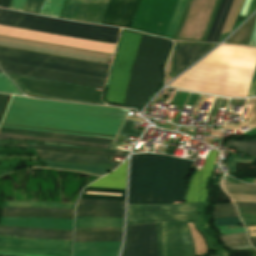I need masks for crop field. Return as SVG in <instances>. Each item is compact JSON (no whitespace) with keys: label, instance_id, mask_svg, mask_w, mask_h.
<instances>
[{"label":"crop field","instance_id":"12","mask_svg":"<svg viewBox=\"0 0 256 256\" xmlns=\"http://www.w3.org/2000/svg\"><path fill=\"white\" fill-rule=\"evenodd\" d=\"M121 256H157L155 223L127 225Z\"/></svg>","mask_w":256,"mask_h":256},{"label":"crop field","instance_id":"45","mask_svg":"<svg viewBox=\"0 0 256 256\" xmlns=\"http://www.w3.org/2000/svg\"><path fill=\"white\" fill-rule=\"evenodd\" d=\"M3 211H18V212H54L73 214L74 210L67 209H44V208H4Z\"/></svg>","mask_w":256,"mask_h":256},{"label":"crop field","instance_id":"26","mask_svg":"<svg viewBox=\"0 0 256 256\" xmlns=\"http://www.w3.org/2000/svg\"><path fill=\"white\" fill-rule=\"evenodd\" d=\"M199 204H200V213H199V221H198L199 227L208 238L212 249L222 253L224 256H229L228 252L219 246L215 238V233L209 228L208 219H207V208H208L207 200L202 201Z\"/></svg>","mask_w":256,"mask_h":256},{"label":"crop field","instance_id":"70","mask_svg":"<svg viewBox=\"0 0 256 256\" xmlns=\"http://www.w3.org/2000/svg\"><path fill=\"white\" fill-rule=\"evenodd\" d=\"M0 142H3V143H14L15 141H0Z\"/></svg>","mask_w":256,"mask_h":256},{"label":"crop field","instance_id":"25","mask_svg":"<svg viewBox=\"0 0 256 256\" xmlns=\"http://www.w3.org/2000/svg\"><path fill=\"white\" fill-rule=\"evenodd\" d=\"M157 0H141L133 24L132 30L145 32Z\"/></svg>","mask_w":256,"mask_h":256},{"label":"crop field","instance_id":"9","mask_svg":"<svg viewBox=\"0 0 256 256\" xmlns=\"http://www.w3.org/2000/svg\"><path fill=\"white\" fill-rule=\"evenodd\" d=\"M0 46L46 53L51 55L99 62L108 63L109 55L105 53L87 51L82 49L58 46L53 44L23 40L18 38L0 36Z\"/></svg>","mask_w":256,"mask_h":256},{"label":"crop field","instance_id":"56","mask_svg":"<svg viewBox=\"0 0 256 256\" xmlns=\"http://www.w3.org/2000/svg\"><path fill=\"white\" fill-rule=\"evenodd\" d=\"M188 94L189 93L177 92L171 104L183 106Z\"/></svg>","mask_w":256,"mask_h":256},{"label":"crop field","instance_id":"69","mask_svg":"<svg viewBox=\"0 0 256 256\" xmlns=\"http://www.w3.org/2000/svg\"><path fill=\"white\" fill-rule=\"evenodd\" d=\"M256 220H252V221H244V223H255Z\"/></svg>","mask_w":256,"mask_h":256},{"label":"crop field","instance_id":"42","mask_svg":"<svg viewBox=\"0 0 256 256\" xmlns=\"http://www.w3.org/2000/svg\"><path fill=\"white\" fill-rule=\"evenodd\" d=\"M0 146L37 147V148L55 149V150H63V151H71V152H79V153H88V154H96V155H105V156H116V157H126L127 156V155H122V154H110V153L80 151V150H71V149H63V148H55V147H47V146H37V145L0 144Z\"/></svg>","mask_w":256,"mask_h":256},{"label":"crop field","instance_id":"64","mask_svg":"<svg viewBox=\"0 0 256 256\" xmlns=\"http://www.w3.org/2000/svg\"><path fill=\"white\" fill-rule=\"evenodd\" d=\"M0 253H1V254H5V255L40 256V255L22 254V253H5V252H0Z\"/></svg>","mask_w":256,"mask_h":256},{"label":"crop field","instance_id":"68","mask_svg":"<svg viewBox=\"0 0 256 256\" xmlns=\"http://www.w3.org/2000/svg\"><path fill=\"white\" fill-rule=\"evenodd\" d=\"M250 239V242L251 244L256 247V237H253V238H249Z\"/></svg>","mask_w":256,"mask_h":256},{"label":"crop field","instance_id":"55","mask_svg":"<svg viewBox=\"0 0 256 256\" xmlns=\"http://www.w3.org/2000/svg\"><path fill=\"white\" fill-rule=\"evenodd\" d=\"M162 231H163V243H164V256H170L169 255L167 222L162 223Z\"/></svg>","mask_w":256,"mask_h":256},{"label":"crop field","instance_id":"28","mask_svg":"<svg viewBox=\"0 0 256 256\" xmlns=\"http://www.w3.org/2000/svg\"><path fill=\"white\" fill-rule=\"evenodd\" d=\"M124 209L112 207L77 206L75 216L123 217Z\"/></svg>","mask_w":256,"mask_h":256},{"label":"crop field","instance_id":"57","mask_svg":"<svg viewBox=\"0 0 256 256\" xmlns=\"http://www.w3.org/2000/svg\"><path fill=\"white\" fill-rule=\"evenodd\" d=\"M225 102L226 101H224V100L215 99L209 116L215 117L216 113H217V110L218 109H222L224 104H225Z\"/></svg>","mask_w":256,"mask_h":256},{"label":"crop field","instance_id":"59","mask_svg":"<svg viewBox=\"0 0 256 256\" xmlns=\"http://www.w3.org/2000/svg\"><path fill=\"white\" fill-rule=\"evenodd\" d=\"M256 96V68L250 85V89L247 97Z\"/></svg>","mask_w":256,"mask_h":256},{"label":"crop field","instance_id":"50","mask_svg":"<svg viewBox=\"0 0 256 256\" xmlns=\"http://www.w3.org/2000/svg\"><path fill=\"white\" fill-rule=\"evenodd\" d=\"M43 0H26L22 11L39 13Z\"/></svg>","mask_w":256,"mask_h":256},{"label":"crop field","instance_id":"8","mask_svg":"<svg viewBox=\"0 0 256 256\" xmlns=\"http://www.w3.org/2000/svg\"><path fill=\"white\" fill-rule=\"evenodd\" d=\"M7 74V73H6ZM26 93L51 99L102 103L100 91L93 88L7 74Z\"/></svg>","mask_w":256,"mask_h":256},{"label":"crop field","instance_id":"16","mask_svg":"<svg viewBox=\"0 0 256 256\" xmlns=\"http://www.w3.org/2000/svg\"><path fill=\"white\" fill-rule=\"evenodd\" d=\"M36 151L39 154V157L43 159L67 163L94 165L97 167L106 168L110 170H113L120 164V162L108 161L107 157L71 154L39 149H36Z\"/></svg>","mask_w":256,"mask_h":256},{"label":"crop field","instance_id":"18","mask_svg":"<svg viewBox=\"0 0 256 256\" xmlns=\"http://www.w3.org/2000/svg\"><path fill=\"white\" fill-rule=\"evenodd\" d=\"M0 224L73 230V220L70 219L1 217Z\"/></svg>","mask_w":256,"mask_h":256},{"label":"crop field","instance_id":"72","mask_svg":"<svg viewBox=\"0 0 256 256\" xmlns=\"http://www.w3.org/2000/svg\"><path fill=\"white\" fill-rule=\"evenodd\" d=\"M217 256H219V255H217Z\"/></svg>","mask_w":256,"mask_h":256},{"label":"crop field","instance_id":"11","mask_svg":"<svg viewBox=\"0 0 256 256\" xmlns=\"http://www.w3.org/2000/svg\"><path fill=\"white\" fill-rule=\"evenodd\" d=\"M0 67L3 69L4 72H8V73H14V74H20V75H26V76H32V77H38V78H44V79H50V80H57V81H63V82H69V83H75V84H81V85H87V86H93V87H99V88L103 87L104 82L106 80L104 78H98V77L14 64V63L2 62V61H0Z\"/></svg>","mask_w":256,"mask_h":256},{"label":"crop field","instance_id":"41","mask_svg":"<svg viewBox=\"0 0 256 256\" xmlns=\"http://www.w3.org/2000/svg\"><path fill=\"white\" fill-rule=\"evenodd\" d=\"M238 216L233 203L216 204L214 218Z\"/></svg>","mask_w":256,"mask_h":256},{"label":"crop field","instance_id":"37","mask_svg":"<svg viewBox=\"0 0 256 256\" xmlns=\"http://www.w3.org/2000/svg\"><path fill=\"white\" fill-rule=\"evenodd\" d=\"M3 200L14 201L10 173L0 177V210Z\"/></svg>","mask_w":256,"mask_h":256},{"label":"crop field","instance_id":"38","mask_svg":"<svg viewBox=\"0 0 256 256\" xmlns=\"http://www.w3.org/2000/svg\"><path fill=\"white\" fill-rule=\"evenodd\" d=\"M39 161L44 162L47 165L53 166V167L81 170V171L89 172V173L96 174V175H105L108 173V171H110V170H105V169L95 168V167H88V166H80V165H72V164H55V163L42 161V160H39Z\"/></svg>","mask_w":256,"mask_h":256},{"label":"crop field","instance_id":"22","mask_svg":"<svg viewBox=\"0 0 256 256\" xmlns=\"http://www.w3.org/2000/svg\"><path fill=\"white\" fill-rule=\"evenodd\" d=\"M0 132L13 133V134H24V135H34V136H44V137L65 138V139H75V140H84V141H93V142H100V143H106V144H111L113 142V140H110V139H101V138H92V137H84V136H75V135L30 131V130L4 128V127H0Z\"/></svg>","mask_w":256,"mask_h":256},{"label":"crop field","instance_id":"2","mask_svg":"<svg viewBox=\"0 0 256 256\" xmlns=\"http://www.w3.org/2000/svg\"><path fill=\"white\" fill-rule=\"evenodd\" d=\"M128 110L13 96L2 123L117 135Z\"/></svg>","mask_w":256,"mask_h":256},{"label":"crop field","instance_id":"3","mask_svg":"<svg viewBox=\"0 0 256 256\" xmlns=\"http://www.w3.org/2000/svg\"><path fill=\"white\" fill-rule=\"evenodd\" d=\"M191 160L160 154L132 155L128 203L171 204L183 201Z\"/></svg>","mask_w":256,"mask_h":256},{"label":"crop field","instance_id":"7","mask_svg":"<svg viewBox=\"0 0 256 256\" xmlns=\"http://www.w3.org/2000/svg\"><path fill=\"white\" fill-rule=\"evenodd\" d=\"M0 60L104 78H106L108 69V65L38 54L4 47H0Z\"/></svg>","mask_w":256,"mask_h":256},{"label":"crop field","instance_id":"24","mask_svg":"<svg viewBox=\"0 0 256 256\" xmlns=\"http://www.w3.org/2000/svg\"><path fill=\"white\" fill-rule=\"evenodd\" d=\"M233 0H221L205 42L216 43Z\"/></svg>","mask_w":256,"mask_h":256},{"label":"crop field","instance_id":"19","mask_svg":"<svg viewBox=\"0 0 256 256\" xmlns=\"http://www.w3.org/2000/svg\"><path fill=\"white\" fill-rule=\"evenodd\" d=\"M121 242H74L73 256H116Z\"/></svg>","mask_w":256,"mask_h":256},{"label":"crop field","instance_id":"67","mask_svg":"<svg viewBox=\"0 0 256 256\" xmlns=\"http://www.w3.org/2000/svg\"><path fill=\"white\" fill-rule=\"evenodd\" d=\"M241 180L247 183H256V179H241Z\"/></svg>","mask_w":256,"mask_h":256},{"label":"crop field","instance_id":"43","mask_svg":"<svg viewBox=\"0 0 256 256\" xmlns=\"http://www.w3.org/2000/svg\"><path fill=\"white\" fill-rule=\"evenodd\" d=\"M1 216H27V217H58L73 219V215L54 214V213H17V212H3Z\"/></svg>","mask_w":256,"mask_h":256},{"label":"crop field","instance_id":"47","mask_svg":"<svg viewBox=\"0 0 256 256\" xmlns=\"http://www.w3.org/2000/svg\"><path fill=\"white\" fill-rule=\"evenodd\" d=\"M77 205H100V206L123 207L124 202L79 199Z\"/></svg>","mask_w":256,"mask_h":256},{"label":"crop field","instance_id":"30","mask_svg":"<svg viewBox=\"0 0 256 256\" xmlns=\"http://www.w3.org/2000/svg\"><path fill=\"white\" fill-rule=\"evenodd\" d=\"M4 139H37V140H46L58 143H67V144H76V145H84L90 147L97 148H108L109 145L106 144H98V143H90V142H82V141H74V140H65V139H55V138H44V137H34V136H24V135H13V134H3L0 133V140Z\"/></svg>","mask_w":256,"mask_h":256},{"label":"crop field","instance_id":"44","mask_svg":"<svg viewBox=\"0 0 256 256\" xmlns=\"http://www.w3.org/2000/svg\"><path fill=\"white\" fill-rule=\"evenodd\" d=\"M228 145L235 147L247 154L256 156V141H248V142L229 141Z\"/></svg>","mask_w":256,"mask_h":256},{"label":"crop field","instance_id":"10","mask_svg":"<svg viewBox=\"0 0 256 256\" xmlns=\"http://www.w3.org/2000/svg\"><path fill=\"white\" fill-rule=\"evenodd\" d=\"M0 35L108 52L113 54L115 46L114 44L90 41L85 39L55 35L50 33L26 30L21 28L9 27L0 25Z\"/></svg>","mask_w":256,"mask_h":256},{"label":"crop field","instance_id":"5","mask_svg":"<svg viewBox=\"0 0 256 256\" xmlns=\"http://www.w3.org/2000/svg\"><path fill=\"white\" fill-rule=\"evenodd\" d=\"M0 24L116 44L120 28L96 26L0 9Z\"/></svg>","mask_w":256,"mask_h":256},{"label":"crop field","instance_id":"15","mask_svg":"<svg viewBox=\"0 0 256 256\" xmlns=\"http://www.w3.org/2000/svg\"><path fill=\"white\" fill-rule=\"evenodd\" d=\"M139 0H109L100 24L128 28Z\"/></svg>","mask_w":256,"mask_h":256},{"label":"crop field","instance_id":"4","mask_svg":"<svg viewBox=\"0 0 256 256\" xmlns=\"http://www.w3.org/2000/svg\"><path fill=\"white\" fill-rule=\"evenodd\" d=\"M196 203L177 205H128L127 224L156 222L158 256H163L161 221H168L171 256H195L186 222L196 223Z\"/></svg>","mask_w":256,"mask_h":256},{"label":"crop field","instance_id":"1","mask_svg":"<svg viewBox=\"0 0 256 256\" xmlns=\"http://www.w3.org/2000/svg\"><path fill=\"white\" fill-rule=\"evenodd\" d=\"M142 36L124 30L107 87L106 102L125 104L126 90ZM154 37L143 36L127 90L128 106L143 105L162 80L161 69L173 43L164 38Z\"/></svg>","mask_w":256,"mask_h":256},{"label":"crop field","instance_id":"14","mask_svg":"<svg viewBox=\"0 0 256 256\" xmlns=\"http://www.w3.org/2000/svg\"><path fill=\"white\" fill-rule=\"evenodd\" d=\"M62 203L75 204L81 189L96 176L57 170Z\"/></svg>","mask_w":256,"mask_h":256},{"label":"crop field","instance_id":"61","mask_svg":"<svg viewBox=\"0 0 256 256\" xmlns=\"http://www.w3.org/2000/svg\"><path fill=\"white\" fill-rule=\"evenodd\" d=\"M5 126H15V127H24V128H34V129H44V130H53V131H63V132H72V133H82V134H92V135H101V136H111V137H115L112 135H102V134H93V133H83V132H73V131H64V130H54V129H45V128H35V127H25V126H16V125H6V124H2Z\"/></svg>","mask_w":256,"mask_h":256},{"label":"crop field","instance_id":"32","mask_svg":"<svg viewBox=\"0 0 256 256\" xmlns=\"http://www.w3.org/2000/svg\"><path fill=\"white\" fill-rule=\"evenodd\" d=\"M219 238L223 245L228 247L230 250L251 247L247 242L245 233L224 235Z\"/></svg>","mask_w":256,"mask_h":256},{"label":"crop field","instance_id":"62","mask_svg":"<svg viewBox=\"0 0 256 256\" xmlns=\"http://www.w3.org/2000/svg\"><path fill=\"white\" fill-rule=\"evenodd\" d=\"M106 230H122V228H75V231H106Z\"/></svg>","mask_w":256,"mask_h":256},{"label":"crop field","instance_id":"36","mask_svg":"<svg viewBox=\"0 0 256 256\" xmlns=\"http://www.w3.org/2000/svg\"><path fill=\"white\" fill-rule=\"evenodd\" d=\"M86 191H99V192H109V193H122V197L84 194ZM124 196H125V190L98 189V188H89V187H86V188L82 191L80 198L124 201Z\"/></svg>","mask_w":256,"mask_h":256},{"label":"crop field","instance_id":"23","mask_svg":"<svg viewBox=\"0 0 256 256\" xmlns=\"http://www.w3.org/2000/svg\"><path fill=\"white\" fill-rule=\"evenodd\" d=\"M233 201L256 202V185L222 184Z\"/></svg>","mask_w":256,"mask_h":256},{"label":"crop field","instance_id":"58","mask_svg":"<svg viewBox=\"0 0 256 256\" xmlns=\"http://www.w3.org/2000/svg\"><path fill=\"white\" fill-rule=\"evenodd\" d=\"M10 95L7 94H1L0 93V119L2 117L3 111L5 109V106L7 104L8 98Z\"/></svg>","mask_w":256,"mask_h":256},{"label":"crop field","instance_id":"35","mask_svg":"<svg viewBox=\"0 0 256 256\" xmlns=\"http://www.w3.org/2000/svg\"><path fill=\"white\" fill-rule=\"evenodd\" d=\"M4 207H44V208H68L74 209L75 205L39 203V202H4Z\"/></svg>","mask_w":256,"mask_h":256},{"label":"crop field","instance_id":"40","mask_svg":"<svg viewBox=\"0 0 256 256\" xmlns=\"http://www.w3.org/2000/svg\"><path fill=\"white\" fill-rule=\"evenodd\" d=\"M186 0H178V3L176 5V8L174 10L173 16L171 18V21L169 23V26L167 28L165 38L172 39L174 31L176 29L177 23L179 21V18L181 16L182 10L184 8Z\"/></svg>","mask_w":256,"mask_h":256},{"label":"crop field","instance_id":"21","mask_svg":"<svg viewBox=\"0 0 256 256\" xmlns=\"http://www.w3.org/2000/svg\"><path fill=\"white\" fill-rule=\"evenodd\" d=\"M0 244L16 247H44L71 250L72 241L34 240L0 236Z\"/></svg>","mask_w":256,"mask_h":256},{"label":"crop field","instance_id":"51","mask_svg":"<svg viewBox=\"0 0 256 256\" xmlns=\"http://www.w3.org/2000/svg\"><path fill=\"white\" fill-rule=\"evenodd\" d=\"M256 10V0H245L239 15L248 17Z\"/></svg>","mask_w":256,"mask_h":256},{"label":"crop field","instance_id":"52","mask_svg":"<svg viewBox=\"0 0 256 256\" xmlns=\"http://www.w3.org/2000/svg\"><path fill=\"white\" fill-rule=\"evenodd\" d=\"M49 145L71 147V148H77V149H82V150L110 152V153H122V154H127L128 153V152H124V151H115V150H104V149H96V148L77 147V146L57 144V143H50V142H49Z\"/></svg>","mask_w":256,"mask_h":256},{"label":"crop field","instance_id":"33","mask_svg":"<svg viewBox=\"0 0 256 256\" xmlns=\"http://www.w3.org/2000/svg\"><path fill=\"white\" fill-rule=\"evenodd\" d=\"M0 251L34 253V254L51 255V256H71V251H61V250H43V249L0 247Z\"/></svg>","mask_w":256,"mask_h":256},{"label":"crop field","instance_id":"53","mask_svg":"<svg viewBox=\"0 0 256 256\" xmlns=\"http://www.w3.org/2000/svg\"><path fill=\"white\" fill-rule=\"evenodd\" d=\"M241 219H256V209L237 208Z\"/></svg>","mask_w":256,"mask_h":256},{"label":"crop field","instance_id":"49","mask_svg":"<svg viewBox=\"0 0 256 256\" xmlns=\"http://www.w3.org/2000/svg\"><path fill=\"white\" fill-rule=\"evenodd\" d=\"M0 91L20 94L3 73H0Z\"/></svg>","mask_w":256,"mask_h":256},{"label":"crop field","instance_id":"20","mask_svg":"<svg viewBox=\"0 0 256 256\" xmlns=\"http://www.w3.org/2000/svg\"><path fill=\"white\" fill-rule=\"evenodd\" d=\"M0 234L72 240L73 231L0 226Z\"/></svg>","mask_w":256,"mask_h":256},{"label":"crop field","instance_id":"66","mask_svg":"<svg viewBox=\"0 0 256 256\" xmlns=\"http://www.w3.org/2000/svg\"><path fill=\"white\" fill-rule=\"evenodd\" d=\"M244 102H245V99H241V100L231 99L229 103H232V104H244Z\"/></svg>","mask_w":256,"mask_h":256},{"label":"crop field","instance_id":"65","mask_svg":"<svg viewBox=\"0 0 256 256\" xmlns=\"http://www.w3.org/2000/svg\"><path fill=\"white\" fill-rule=\"evenodd\" d=\"M10 0H0V7L7 8L9 5Z\"/></svg>","mask_w":256,"mask_h":256},{"label":"crop field","instance_id":"17","mask_svg":"<svg viewBox=\"0 0 256 256\" xmlns=\"http://www.w3.org/2000/svg\"><path fill=\"white\" fill-rule=\"evenodd\" d=\"M213 46L215 45L203 43L176 44L171 77H175L178 73L209 51Z\"/></svg>","mask_w":256,"mask_h":256},{"label":"crop field","instance_id":"34","mask_svg":"<svg viewBox=\"0 0 256 256\" xmlns=\"http://www.w3.org/2000/svg\"><path fill=\"white\" fill-rule=\"evenodd\" d=\"M241 3H242V0H234L233 1L218 42L230 33Z\"/></svg>","mask_w":256,"mask_h":256},{"label":"crop field","instance_id":"71","mask_svg":"<svg viewBox=\"0 0 256 256\" xmlns=\"http://www.w3.org/2000/svg\"><path fill=\"white\" fill-rule=\"evenodd\" d=\"M246 230H247L248 236L250 237L249 230H248V228H247V227H246Z\"/></svg>","mask_w":256,"mask_h":256},{"label":"crop field","instance_id":"39","mask_svg":"<svg viewBox=\"0 0 256 256\" xmlns=\"http://www.w3.org/2000/svg\"><path fill=\"white\" fill-rule=\"evenodd\" d=\"M47 2L48 0H44V3L42 5V8L39 14L41 15L43 14V11L46 7ZM64 2L65 1H61V0H49L43 15L53 16L58 18Z\"/></svg>","mask_w":256,"mask_h":256},{"label":"crop field","instance_id":"27","mask_svg":"<svg viewBox=\"0 0 256 256\" xmlns=\"http://www.w3.org/2000/svg\"><path fill=\"white\" fill-rule=\"evenodd\" d=\"M123 218L75 217V227H122Z\"/></svg>","mask_w":256,"mask_h":256},{"label":"crop field","instance_id":"54","mask_svg":"<svg viewBox=\"0 0 256 256\" xmlns=\"http://www.w3.org/2000/svg\"><path fill=\"white\" fill-rule=\"evenodd\" d=\"M239 223H241V221L239 220L238 217L214 219L215 226L239 224Z\"/></svg>","mask_w":256,"mask_h":256},{"label":"crop field","instance_id":"31","mask_svg":"<svg viewBox=\"0 0 256 256\" xmlns=\"http://www.w3.org/2000/svg\"><path fill=\"white\" fill-rule=\"evenodd\" d=\"M256 14L225 43L247 45L255 22Z\"/></svg>","mask_w":256,"mask_h":256},{"label":"crop field","instance_id":"46","mask_svg":"<svg viewBox=\"0 0 256 256\" xmlns=\"http://www.w3.org/2000/svg\"><path fill=\"white\" fill-rule=\"evenodd\" d=\"M255 161L256 159L231 156L227 160L229 172L236 174V164H253Z\"/></svg>","mask_w":256,"mask_h":256},{"label":"crop field","instance_id":"73","mask_svg":"<svg viewBox=\"0 0 256 256\" xmlns=\"http://www.w3.org/2000/svg\"><path fill=\"white\" fill-rule=\"evenodd\" d=\"M1 72V71H0Z\"/></svg>","mask_w":256,"mask_h":256},{"label":"crop field","instance_id":"13","mask_svg":"<svg viewBox=\"0 0 256 256\" xmlns=\"http://www.w3.org/2000/svg\"><path fill=\"white\" fill-rule=\"evenodd\" d=\"M82 0H68L61 18L75 19ZM108 0H83L75 20L99 24Z\"/></svg>","mask_w":256,"mask_h":256},{"label":"crop field","instance_id":"60","mask_svg":"<svg viewBox=\"0 0 256 256\" xmlns=\"http://www.w3.org/2000/svg\"><path fill=\"white\" fill-rule=\"evenodd\" d=\"M24 2L25 0H12L9 8L21 11L23 8Z\"/></svg>","mask_w":256,"mask_h":256},{"label":"crop field","instance_id":"29","mask_svg":"<svg viewBox=\"0 0 256 256\" xmlns=\"http://www.w3.org/2000/svg\"><path fill=\"white\" fill-rule=\"evenodd\" d=\"M122 231L75 232V241H120Z\"/></svg>","mask_w":256,"mask_h":256},{"label":"crop field","instance_id":"6","mask_svg":"<svg viewBox=\"0 0 256 256\" xmlns=\"http://www.w3.org/2000/svg\"><path fill=\"white\" fill-rule=\"evenodd\" d=\"M15 201L59 202L56 170L32 168L11 173Z\"/></svg>","mask_w":256,"mask_h":256},{"label":"crop field","instance_id":"48","mask_svg":"<svg viewBox=\"0 0 256 256\" xmlns=\"http://www.w3.org/2000/svg\"><path fill=\"white\" fill-rule=\"evenodd\" d=\"M133 121L126 120L123 127L121 128L119 134L128 135L138 138L141 135V132L135 130L133 127Z\"/></svg>","mask_w":256,"mask_h":256},{"label":"crop field","instance_id":"63","mask_svg":"<svg viewBox=\"0 0 256 256\" xmlns=\"http://www.w3.org/2000/svg\"><path fill=\"white\" fill-rule=\"evenodd\" d=\"M237 207L256 208V203H239L235 202Z\"/></svg>","mask_w":256,"mask_h":256}]
</instances>
